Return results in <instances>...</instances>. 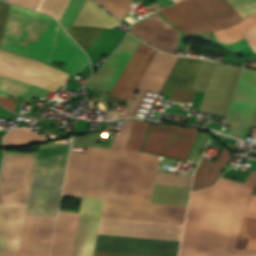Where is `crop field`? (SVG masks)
<instances>
[{
	"instance_id": "1",
	"label": "crop field",
	"mask_w": 256,
	"mask_h": 256,
	"mask_svg": "<svg viewBox=\"0 0 256 256\" xmlns=\"http://www.w3.org/2000/svg\"><path fill=\"white\" fill-rule=\"evenodd\" d=\"M10 6L0 1V42ZM51 20L12 5L0 47L32 56ZM33 57L50 62L68 61L64 69L73 78L89 63L87 56L53 20ZM67 76L68 73L48 64L0 50V96L29 100L34 94L47 98L60 85H65Z\"/></svg>"
},
{
	"instance_id": "2",
	"label": "crop field",
	"mask_w": 256,
	"mask_h": 256,
	"mask_svg": "<svg viewBox=\"0 0 256 256\" xmlns=\"http://www.w3.org/2000/svg\"><path fill=\"white\" fill-rule=\"evenodd\" d=\"M255 182L256 173L250 172L241 187L240 183L221 178L213 187L193 192L183 236L229 240L232 203L240 187L233 204L227 252L256 254V251H245L256 250V196L250 197L244 210ZM251 195H256V185ZM188 237L182 239L179 256H256L226 253L228 241Z\"/></svg>"
},
{
	"instance_id": "3",
	"label": "crop field",
	"mask_w": 256,
	"mask_h": 256,
	"mask_svg": "<svg viewBox=\"0 0 256 256\" xmlns=\"http://www.w3.org/2000/svg\"><path fill=\"white\" fill-rule=\"evenodd\" d=\"M158 159L103 148L71 151L63 194L150 202Z\"/></svg>"
},
{
	"instance_id": "4",
	"label": "crop field",
	"mask_w": 256,
	"mask_h": 256,
	"mask_svg": "<svg viewBox=\"0 0 256 256\" xmlns=\"http://www.w3.org/2000/svg\"><path fill=\"white\" fill-rule=\"evenodd\" d=\"M36 154L5 153L0 177V256H17Z\"/></svg>"
},
{
	"instance_id": "5",
	"label": "crop field",
	"mask_w": 256,
	"mask_h": 256,
	"mask_svg": "<svg viewBox=\"0 0 256 256\" xmlns=\"http://www.w3.org/2000/svg\"><path fill=\"white\" fill-rule=\"evenodd\" d=\"M244 18L256 13V0H229ZM228 0H184L160 13L185 33H208L224 29L241 19Z\"/></svg>"
},
{
	"instance_id": "6",
	"label": "crop field",
	"mask_w": 256,
	"mask_h": 256,
	"mask_svg": "<svg viewBox=\"0 0 256 256\" xmlns=\"http://www.w3.org/2000/svg\"><path fill=\"white\" fill-rule=\"evenodd\" d=\"M156 53V50L141 42L140 46L136 50L135 54L109 95L129 100L134 90L137 89ZM177 59V56L164 54L158 51L138 87L140 90L128 113L116 116V118L133 115L144 89L149 88L160 92Z\"/></svg>"
},
{
	"instance_id": "7",
	"label": "crop field",
	"mask_w": 256,
	"mask_h": 256,
	"mask_svg": "<svg viewBox=\"0 0 256 256\" xmlns=\"http://www.w3.org/2000/svg\"><path fill=\"white\" fill-rule=\"evenodd\" d=\"M192 176L157 173L155 184L190 188ZM186 207L105 199L106 218L183 224Z\"/></svg>"
},
{
	"instance_id": "8",
	"label": "crop field",
	"mask_w": 256,
	"mask_h": 256,
	"mask_svg": "<svg viewBox=\"0 0 256 256\" xmlns=\"http://www.w3.org/2000/svg\"><path fill=\"white\" fill-rule=\"evenodd\" d=\"M256 107V71L244 69L225 124L228 135L244 139Z\"/></svg>"
},
{
	"instance_id": "9",
	"label": "crop field",
	"mask_w": 256,
	"mask_h": 256,
	"mask_svg": "<svg viewBox=\"0 0 256 256\" xmlns=\"http://www.w3.org/2000/svg\"><path fill=\"white\" fill-rule=\"evenodd\" d=\"M197 134L194 128L151 126L143 150L186 159Z\"/></svg>"
},
{
	"instance_id": "10",
	"label": "crop field",
	"mask_w": 256,
	"mask_h": 256,
	"mask_svg": "<svg viewBox=\"0 0 256 256\" xmlns=\"http://www.w3.org/2000/svg\"><path fill=\"white\" fill-rule=\"evenodd\" d=\"M180 242L98 235L95 251L147 256H177Z\"/></svg>"
},
{
	"instance_id": "11",
	"label": "crop field",
	"mask_w": 256,
	"mask_h": 256,
	"mask_svg": "<svg viewBox=\"0 0 256 256\" xmlns=\"http://www.w3.org/2000/svg\"><path fill=\"white\" fill-rule=\"evenodd\" d=\"M103 201L83 197L72 256H93Z\"/></svg>"
},
{
	"instance_id": "12",
	"label": "crop field",
	"mask_w": 256,
	"mask_h": 256,
	"mask_svg": "<svg viewBox=\"0 0 256 256\" xmlns=\"http://www.w3.org/2000/svg\"><path fill=\"white\" fill-rule=\"evenodd\" d=\"M55 218L26 214L18 256H48Z\"/></svg>"
},
{
	"instance_id": "13",
	"label": "crop field",
	"mask_w": 256,
	"mask_h": 256,
	"mask_svg": "<svg viewBox=\"0 0 256 256\" xmlns=\"http://www.w3.org/2000/svg\"><path fill=\"white\" fill-rule=\"evenodd\" d=\"M129 32L161 51L170 54L176 52L179 31L173 29L156 15L141 21L130 28Z\"/></svg>"
},
{
	"instance_id": "14",
	"label": "crop field",
	"mask_w": 256,
	"mask_h": 256,
	"mask_svg": "<svg viewBox=\"0 0 256 256\" xmlns=\"http://www.w3.org/2000/svg\"><path fill=\"white\" fill-rule=\"evenodd\" d=\"M141 41L127 34L121 46L89 79L88 83L112 89Z\"/></svg>"
},
{
	"instance_id": "15",
	"label": "crop field",
	"mask_w": 256,
	"mask_h": 256,
	"mask_svg": "<svg viewBox=\"0 0 256 256\" xmlns=\"http://www.w3.org/2000/svg\"><path fill=\"white\" fill-rule=\"evenodd\" d=\"M78 214L60 212L50 256H71Z\"/></svg>"
},
{
	"instance_id": "16",
	"label": "crop field",
	"mask_w": 256,
	"mask_h": 256,
	"mask_svg": "<svg viewBox=\"0 0 256 256\" xmlns=\"http://www.w3.org/2000/svg\"><path fill=\"white\" fill-rule=\"evenodd\" d=\"M202 59L179 57L161 93L171 94L174 87L192 89Z\"/></svg>"
},
{
	"instance_id": "17",
	"label": "crop field",
	"mask_w": 256,
	"mask_h": 256,
	"mask_svg": "<svg viewBox=\"0 0 256 256\" xmlns=\"http://www.w3.org/2000/svg\"><path fill=\"white\" fill-rule=\"evenodd\" d=\"M230 156L229 150L224 147L215 163L202 160L195 173L192 191L212 186Z\"/></svg>"
},
{
	"instance_id": "18",
	"label": "crop field",
	"mask_w": 256,
	"mask_h": 256,
	"mask_svg": "<svg viewBox=\"0 0 256 256\" xmlns=\"http://www.w3.org/2000/svg\"><path fill=\"white\" fill-rule=\"evenodd\" d=\"M134 120H124V136L115 135L111 148L124 149ZM150 123L135 121L126 150L140 151Z\"/></svg>"
},
{
	"instance_id": "19",
	"label": "crop field",
	"mask_w": 256,
	"mask_h": 256,
	"mask_svg": "<svg viewBox=\"0 0 256 256\" xmlns=\"http://www.w3.org/2000/svg\"><path fill=\"white\" fill-rule=\"evenodd\" d=\"M118 23L108 12L92 0H86L74 25H88L113 28Z\"/></svg>"
},
{
	"instance_id": "20",
	"label": "crop field",
	"mask_w": 256,
	"mask_h": 256,
	"mask_svg": "<svg viewBox=\"0 0 256 256\" xmlns=\"http://www.w3.org/2000/svg\"><path fill=\"white\" fill-rule=\"evenodd\" d=\"M65 29L86 52L103 30L94 27H66Z\"/></svg>"
},
{
	"instance_id": "21",
	"label": "crop field",
	"mask_w": 256,
	"mask_h": 256,
	"mask_svg": "<svg viewBox=\"0 0 256 256\" xmlns=\"http://www.w3.org/2000/svg\"><path fill=\"white\" fill-rule=\"evenodd\" d=\"M41 137L35 135L25 128L10 130L4 138L5 146L27 144L34 141H42Z\"/></svg>"
},
{
	"instance_id": "22",
	"label": "crop field",
	"mask_w": 256,
	"mask_h": 256,
	"mask_svg": "<svg viewBox=\"0 0 256 256\" xmlns=\"http://www.w3.org/2000/svg\"><path fill=\"white\" fill-rule=\"evenodd\" d=\"M119 20L134 6L130 0H97Z\"/></svg>"
},
{
	"instance_id": "23",
	"label": "crop field",
	"mask_w": 256,
	"mask_h": 256,
	"mask_svg": "<svg viewBox=\"0 0 256 256\" xmlns=\"http://www.w3.org/2000/svg\"><path fill=\"white\" fill-rule=\"evenodd\" d=\"M214 35L217 41L228 44L245 37L238 23L224 30L214 32Z\"/></svg>"
},
{
	"instance_id": "24",
	"label": "crop field",
	"mask_w": 256,
	"mask_h": 256,
	"mask_svg": "<svg viewBox=\"0 0 256 256\" xmlns=\"http://www.w3.org/2000/svg\"><path fill=\"white\" fill-rule=\"evenodd\" d=\"M85 0H70L61 19L62 25H73Z\"/></svg>"
},
{
	"instance_id": "25",
	"label": "crop field",
	"mask_w": 256,
	"mask_h": 256,
	"mask_svg": "<svg viewBox=\"0 0 256 256\" xmlns=\"http://www.w3.org/2000/svg\"><path fill=\"white\" fill-rule=\"evenodd\" d=\"M243 32L256 25V14L239 22ZM251 48L256 52V26L244 32Z\"/></svg>"
},
{
	"instance_id": "26",
	"label": "crop field",
	"mask_w": 256,
	"mask_h": 256,
	"mask_svg": "<svg viewBox=\"0 0 256 256\" xmlns=\"http://www.w3.org/2000/svg\"><path fill=\"white\" fill-rule=\"evenodd\" d=\"M196 91H189L183 89H175L170 100L173 101H183V102H192Z\"/></svg>"
},
{
	"instance_id": "27",
	"label": "crop field",
	"mask_w": 256,
	"mask_h": 256,
	"mask_svg": "<svg viewBox=\"0 0 256 256\" xmlns=\"http://www.w3.org/2000/svg\"><path fill=\"white\" fill-rule=\"evenodd\" d=\"M6 1H10L14 4H18L28 8L36 9L40 0H6Z\"/></svg>"
},
{
	"instance_id": "28",
	"label": "crop field",
	"mask_w": 256,
	"mask_h": 256,
	"mask_svg": "<svg viewBox=\"0 0 256 256\" xmlns=\"http://www.w3.org/2000/svg\"><path fill=\"white\" fill-rule=\"evenodd\" d=\"M13 99H8V98H2L0 97V104L4 105L5 107H7L8 109H11L14 111L15 109V103H13Z\"/></svg>"
},
{
	"instance_id": "29",
	"label": "crop field",
	"mask_w": 256,
	"mask_h": 256,
	"mask_svg": "<svg viewBox=\"0 0 256 256\" xmlns=\"http://www.w3.org/2000/svg\"><path fill=\"white\" fill-rule=\"evenodd\" d=\"M94 256H135V255H124V254H112V253L95 252Z\"/></svg>"
},
{
	"instance_id": "30",
	"label": "crop field",
	"mask_w": 256,
	"mask_h": 256,
	"mask_svg": "<svg viewBox=\"0 0 256 256\" xmlns=\"http://www.w3.org/2000/svg\"><path fill=\"white\" fill-rule=\"evenodd\" d=\"M174 1L178 2V1H180V0H174Z\"/></svg>"
}]
</instances>
